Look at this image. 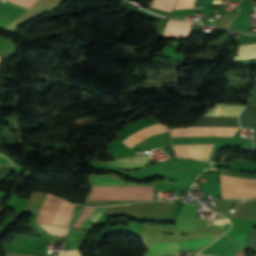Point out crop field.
<instances>
[{
    "instance_id": "crop-field-1",
    "label": "crop field",
    "mask_w": 256,
    "mask_h": 256,
    "mask_svg": "<svg viewBox=\"0 0 256 256\" xmlns=\"http://www.w3.org/2000/svg\"><path fill=\"white\" fill-rule=\"evenodd\" d=\"M244 106L216 105L204 116L236 117ZM240 127H185L171 129V136H233ZM212 144L172 145L175 156L208 160Z\"/></svg>"
},
{
    "instance_id": "crop-field-2",
    "label": "crop field",
    "mask_w": 256,
    "mask_h": 256,
    "mask_svg": "<svg viewBox=\"0 0 256 256\" xmlns=\"http://www.w3.org/2000/svg\"><path fill=\"white\" fill-rule=\"evenodd\" d=\"M56 197V196H55ZM46 196L45 201L42 205L40 213L35 222L51 224L57 226H67V222L75 208V206H71L67 201L57 197ZM75 205V204H72Z\"/></svg>"
},
{
    "instance_id": "crop-field-3",
    "label": "crop field",
    "mask_w": 256,
    "mask_h": 256,
    "mask_svg": "<svg viewBox=\"0 0 256 256\" xmlns=\"http://www.w3.org/2000/svg\"><path fill=\"white\" fill-rule=\"evenodd\" d=\"M223 198L256 196V179H244L220 174Z\"/></svg>"
},
{
    "instance_id": "crop-field-4",
    "label": "crop field",
    "mask_w": 256,
    "mask_h": 256,
    "mask_svg": "<svg viewBox=\"0 0 256 256\" xmlns=\"http://www.w3.org/2000/svg\"><path fill=\"white\" fill-rule=\"evenodd\" d=\"M168 128H166L161 123L145 127L136 133L130 135L129 137L125 138L122 142L126 144L128 147H133L139 141L159 132H167Z\"/></svg>"
},
{
    "instance_id": "crop-field-5",
    "label": "crop field",
    "mask_w": 256,
    "mask_h": 256,
    "mask_svg": "<svg viewBox=\"0 0 256 256\" xmlns=\"http://www.w3.org/2000/svg\"><path fill=\"white\" fill-rule=\"evenodd\" d=\"M26 9L0 1V27L4 28Z\"/></svg>"
},
{
    "instance_id": "crop-field-6",
    "label": "crop field",
    "mask_w": 256,
    "mask_h": 256,
    "mask_svg": "<svg viewBox=\"0 0 256 256\" xmlns=\"http://www.w3.org/2000/svg\"><path fill=\"white\" fill-rule=\"evenodd\" d=\"M181 249L179 242L151 245L143 256H169L177 254Z\"/></svg>"
},
{
    "instance_id": "crop-field-7",
    "label": "crop field",
    "mask_w": 256,
    "mask_h": 256,
    "mask_svg": "<svg viewBox=\"0 0 256 256\" xmlns=\"http://www.w3.org/2000/svg\"><path fill=\"white\" fill-rule=\"evenodd\" d=\"M192 24L169 20L164 36L186 37Z\"/></svg>"
},
{
    "instance_id": "crop-field-8",
    "label": "crop field",
    "mask_w": 256,
    "mask_h": 256,
    "mask_svg": "<svg viewBox=\"0 0 256 256\" xmlns=\"http://www.w3.org/2000/svg\"><path fill=\"white\" fill-rule=\"evenodd\" d=\"M147 157H130L119 161H108L117 167H137L146 165Z\"/></svg>"
},
{
    "instance_id": "crop-field-9",
    "label": "crop field",
    "mask_w": 256,
    "mask_h": 256,
    "mask_svg": "<svg viewBox=\"0 0 256 256\" xmlns=\"http://www.w3.org/2000/svg\"><path fill=\"white\" fill-rule=\"evenodd\" d=\"M234 59L256 58V44L238 45Z\"/></svg>"
},
{
    "instance_id": "crop-field-10",
    "label": "crop field",
    "mask_w": 256,
    "mask_h": 256,
    "mask_svg": "<svg viewBox=\"0 0 256 256\" xmlns=\"http://www.w3.org/2000/svg\"><path fill=\"white\" fill-rule=\"evenodd\" d=\"M86 234L87 232L76 231L71 229L68 238L65 242L68 243L67 250L79 248Z\"/></svg>"
},
{
    "instance_id": "crop-field-11",
    "label": "crop field",
    "mask_w": 256,
    "mask_h": 256,
    "mask_svg": "<svg viewBox=\"0 0 256 256\" xmlns=\"http://www.w3.org/2000/svg\"><path fill=\"white\" fill-rule=\"evenodd\" d=\"M98 207H92V209L89 211V213L86 215L84 220L81 222V224L78 226L77 229H81L82 226L86 223V221L91 217V215L95 212V210ZM103 211V208H99L96 210V212L92 215V217L87 221V223L83 226L82 229L89 230V228L92 226V224L95 222V220L98 218V216L101 214ZM101 216V215H100ZM98 220V219H97ZM95 224V223H94Z\"/></svg>"
},
{
    "instance_id": "crop-field-12",
    "label": "crop field",
    "mask_w": 256,
    "mask_h": 256,
    "mask_svg": "<svg viewBox=\"0 0 256 256\" xmlns=\"http://www.w3.org/2000/svg\"><path fill=\"white\" fill-rule=\"evenodd\" d=\"M193 5H194V0H179L175 9L176 8L193 7ZM208 5H212V0H195L194 7L208 6ZM208 7H212V6H208ZM198 8H202V7H198Z\"/></svg>"
},
{
    "instance_id": "crop-field-13",
    "label": "crop field",
    "mask_w": 256,
    "mask_h": 256,
    "mask_svg": "<svg viewBox=\"0 0 256 256\" xmlns=\"http://www.w3.org/2000/svg\"><path fill=\"white\" fill-rule=\"evenodd\" d=\"M177 0H153V7L171 11Z\"/></svg>"
},
{
    "instance_id": "crop-field-14",
    "label": "crop field",
    "mask_w": 256,
    "mask_h": 256,
    "mask_svg": "<svg viewBox=\"0 0 256 256\" xmlns=\"http://www.w3.org/2000/svg\"><path fill=\"white\" fill-rule=\"evenodd\" d=\"M210 239H202V240H193V241H185L181 242L184 249H199L205 243L209 242Z\"/></svg>"
},
{
    "instance_id": "crop-field-15",
    "label": "crop field",
    "mask_w": 256,
    "mask_h": 256,
    "mask_svg": "<svg viewBox=\"0 0 256 256\" xmlns=\"http://www.w3.org/2000/svg\"><path fill=\"white\" fill-rule=\"evenodd\" d=\"M10 46H11V44L9 41L0 38V57L2 59L6 56Z\"/></svg>"
},
{
    "instance_id": "crop-field-16",
    "label": "crop field",
    "mask_w": 256,
    "mask_h": 256,
    "mask_svg": "<svg viewBox=\"0 0 256 256\" xmlns=\"http://www.w3.org/2000/svg\"><path fill=\"white\" fill-rule=\"evenodd\" d=\"M11 1L29 8L36 0H11Z\"/></svg>"
},
{
    "instance_id": "crop-field-17",
    "label": "crop field",
    "mask_w": 256,
    "mask_h": 256,
    "mask_svg": "<svg viewBox=\"0 0 256 256\" xmlns=\"http://www.w3.org/2000/svg\"><path fill=\"white\" fill-rule=\"evenodd\" d=\"M60 256H81L78 250H72V251H64L60 254Z\"/></svg>"
},
{
    "instance_id": "crop-field-18",
    "label": "crop field",
    "mask_w": 256,
    "mask_h": 256,
    "mask_svg": "<svg viewBox=\"0 0 256 256\" xmlns=\"http://www.w3.org/2000/svg\"><path fill=\"white\" fill-rule=\"evenodd\" d=\"M124 205H128V204H124ZM117 206H123V205H117ZM110 207H113V206H110Z\"/></svg>"
},
{
    "instance_id": "crop-field-19",
    "label": "crop field",
    "mask_w": 256,
    "mask_h": 256,
    "mask_svg": "<svg viewBox=\"0 0 256 256\" xmlns=\"http://www.w3.org/2000/svg\"><path fill=\"white\" fill-rule=\"evenodd\" d=\"M198 256H207V255H198Z\"/></svg>"
},
{
    "instance_id": "crop-field-20",
    "label": "crop field",
    "mask_w": 256,
    "mask_h": 256,
    "mask_svg": "<svg viewBox=\"0 0 256 256\" xmlns=\"http://www.w3.org/2000/svg\"><path fill=\"white\" fill-rule=\"evenodd\" d=\"M0 63H1V61H0Z\"/></svg>"
}]
</instances>
